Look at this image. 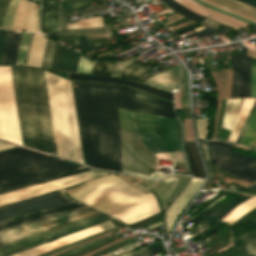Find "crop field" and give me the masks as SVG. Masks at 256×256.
<instances>
[{
	"instance_id": "8a807250",
	"label": "crop field",
	"mask_w": 256,
	"mask_h": 256,
	"mask_svg": "<svg viewBox=\"0 0 256 256\" xmlns=\"http://www.w3.org/2000/svg\"><path fill=\"white\" fill-rule=\"evenodd\" d=\"M86 162L96 168L121 172L119 113L120 99L173 110L171 103L134 91L128 87L88 85L73 82ZM122 172L150 179L166 173L150 175L123 169Z\"/></svg>"
},
{
	"instance_id": "ac0d7876",
	"label": "crop field",
	"mask_w": 256,
	"mask_h": 256,
	"mask_svg": "<svg viewBox=\"0 0 256 256\" xmlns=\"http://www.w3.org/2000/svg\"><path fill=\"white\" fill-rule=\"evenodd\" d=\"M11 69L24 145L57 155L43 71Z\"/></svg>"
},
{
	"instance_id": "34b2d1b8",
	"label": "crop field",
	"mask_w": 256,
	"mask_h": 256,
	"mask_svg": "<svg viewBox=\"0 0 256 256\" xmlns=\"http://www.w3.org/2000/svg\"><path fill=\"white\" fill-rule=\"evenodd\" d=\"M44 74L58 155L83 164L70 81Z\"/></svg>"
},
{
	"instance_id": "412701ff",
	"label": "crop field",
	"mask_w": 256,
	"mask_h": 256,
	"mask_svg": "<svg viewBox=\"0 0 256 256\" xmlns=\"http://www.w3.org/2000/svg\"><path fill=\"white\" fill-rule=\"evenodd\" d=\"M81 168L21 147L0 152V190Z\"/></svg>"
},
{
	"instance_id": "f4fd0767",
	"label": "crop field",
	"mask_w": 256,
	"mask_h": 256,
	"mask_svg": "<svg viewBox=\"0 0 256 256\" xmlns=\"http://www.w3.org/2000/svg\"><path fill=\"white\" fill-rule=\"evenodd\" d=\"M66 192L71 197L102 212L152 193L145 194L113 174L71 188Z\"/></svg>"
},
{
	"instance_id": "dd49c442",
	"label": "crop field",
	"mask_w": 256,
	"mask_h": 256,
	"mask_svg": "<svg viewBox=\"0 0 256 256\" xmlns=\"http://www.w3.org/2000/svg\"><path fill=\"white\" fill-rule=\"evenodd\" d=\"M0 138L22 145L10 66H0Z\"/></svg>"
},
{
	"instance_id": "e52e79f7",
	"label": "crop field",
	"mask_w": 256,
	"mask_h": 256,
	"mask_svg": "<svg viewBox=\"0 0 256 256\" xmlns=\"http://www.w3.org/2000/svg\"><path fill=\"white\" fill-rule=\"evenodd\" d=\"M207 144L213 164L248 181H256V158L232 152L234 144L218 140Z\"/></svg>"
},
{
	"instance_id": "d8731c3e",
	"label": "crop field",
	"mask_w": 256,
	"mask_h": 256,
	"mask_svg": "<svg viewBox=\"0 0 256 256\" xmlns=\"http://www.w3.org/2000/svg\"><path fill=\"white\" fill-rule=\"evenodd\" d=\"M111 220L103 213L0 247V256H9L71 233Z\"/></svg>"
},
{
	"instance_id": "5a996713",
	"label": "crop field",
	"mask_w": 256,
	"mask_h": 256,
	"mask_svg": "<svg viewBox=\"0 0 256 256\" xmlns=\"http://www.w3.org/2000/svg\"><path fill=\"white\" fill-rule=\"evenodd\" d=\"M100 213L88 206L0 232V245Z\"/></svg>"
},
{
	"instance_id": "3316defc",
	"label": "crop field",
	"mask_w": 256,
	"mask_h": 256,
	"mask_svg": "<svg viewBox=\"0 0 256 256\" xmlns=\"http://www.w3.org/2000/svg\"><path fill=\"white\" fill-rule=\"evenodd\" d=\"M106 173H100L96 171H85L82 173L74 174L64 178L56 179L46 183L38 184L28 188L20 189L10 193L0 195V206L8 203L16 202L26 198L34 197L44 193L52 192L58 189H62L68 186H72L86 180L101 176Z\"/></svg>"
},
{
	"instance_id": "28ad6ade",
	"label": "crop field",
	"mask_w": 256,
	"mask_h": 256,
	"mask_svg": "<svg viewBox=\"0 0 256 256\" xmlns=\"http://www.w3.org/2000/svg\"><path fill=\"white\" fill-rule=\"evenodd\" d=\"M72 202L75 201H68L59 192H56L53 194L0 208V222L44 211Z\"/></svg>"
},
{
	"instance_id": "d1516ede",
	"label": "crop field",
	"mask_w": 256,
	"mask_h": 256,
	"mask_svg": "<svg viewBox=\"0 0 256 256\" xmlns=\"http://www.w3.org/2000/svg\"><path fill=\"white\" fill-rule=\"evenodd\" d=\"M121 138V158L122 167L133 170V155H134V170L150 174L156 167V158L149 155L139 145L133 141L132 155V139L120 130Z\"/></svg>"
},
{
	"instance_id": "22f410ed",
	"label": "crop field",
	"mask_w": 256,
	"mask_h": 256,
	"mask_svg": "<svg viewBox=\"0 0 256 256\" xmlns=\"http://www.w3.org/2000/svg\"><path fill=\"white\" fill-rule=\"evenodd\" d=\"M160 211L155 194H151L105 213L126 223H133Z\"/></svg>"
},
{
	"instance_id": "cbeb9de0",
	"label": "crop field",
	"mask_w": 256,
	"mask_h": 256,
	"mask_svg": "<svg viewBox=\"0 0 256 256\" xmlns=\"http://www.w3.org/2000/svg\"><path fill=\"white\" fill-rule=\"evenodd\" d=\"M232 97H250V57L232 56Z\"/></svg>"
},
{
	"instance_id": "5142ce71",
	"label": "crop field",
	"mask_w": 256,
	"mask_h": 256,
	"mask_svg": "<svg viewBox=\"0 0 256 256\" xmlns=\"http://www.w3.org/2000/svg\"><path fill=\"white\" fill-rule=\"evenodd\" d=\"M22 28L27 31H37L38 29V12H35V3L27 0H20L15 21L14 30L21 31Z\"/></svg>"
},
{
	"instance_id": "d9b57169",
	"label": "crop field",
	"mask_w": 256,
	"mask_h": 256,
	"mask_svg": "<svg viewBox=\"0 0 256 256\" xmlns=\"http://www.w3.org/2000/svg\"><path fill=\"white\" fill-rule=\"evenodd\" d=\"M69 79L90 81V82H96V83H111V84L127 85L145 92H149V93L173 100V95L165 91H161V90L146 86L144 84L134 83L126 80L109 78V77H100V76H88V75H81V74H74V73H69Z\"/></svg>"
},
{
	"instance_id": "733c2abd",
	"label": "crop field",
	"mask_w": 256,
	"mask_h": 256,
	"mask_svg": "<svg viewBox=\"0 0 256 256\" xmlns=\"http://www.w3.org/2000/svg\"><path fill=\"white\" fill-rule=\"evenodd\" d=\"M100 231H103V229L99 225H97V226L91 227L89 229L74 233L72 235L57 239L55 241L40 245L38 247L23 251L21 253H18V254L12 255V256H35L37 254L54 249L56 247L62 246L64 244L73 242L75 240L84 238L86 236L92 235V234L100 232Z\"/></svg>"
},
{
	"instance_id": "4a817a6b",
	"label": "crop field",
	"mask_w": 256,
	"mask_h": 256,
	"mask_svg": "<svg viewBox=\"0 0 256 256\" xmlns=\"http://www.w3.org/2000/svg\"><path fill=\"white\" fill-rule=\"evenodd\" d=\"M202 182L203 180L192 178V180L187 185L185 190L168 208L166 212V226H167L168 232L172 228L174 221L177 215L179 214V212L182 210V208L185 206L188 200L194 195V193L197 191V189L202 184Z\"/></svg>"
},
{
	"instance_id": "bc2a9ffb",
	"label": "crop field",
	"mask_w": 256,
	"mask_h": 256,
	"mask_svg": "<svg viewBox=\"0 0 256 256\" xmlns=\"http://www.w3.org/2000/svg\"><path fill=\"white\" fill-rule=\"evenodd\" d=\"M144 84L155 88H162L169 91L180 85V71L178 64L161 72L155 74L144 81Z\"/></svg>"
},
{
	"instance_id": "214f88e0",
	"label": "crop field",
	"mask_w": 256,
	"mask_h": 256,
	"mask_svg": "<svg viewBox=\"0 0 256 256\" xmlns=\"http://www.w3.org/2000/svg\"><path fill=\"white\" fill-rule=\"evenodd\" d=\"M59 0H42L41 31L57 33Z\"/></svg>"
},
{
	"instance_id": "92a150f3",
	"label": "crop field",
	"mask_w": 256,
	"mask_h": 256,
	"mask_svg": "<svg viewBox=\"0 0 256 256\" xmlns=\"http://www.w3.org/2000/svg\"><path fill=\"white\" fill-rule=\"evenodd\" d=\"M81 206H85V205L80 204V203H76V204L68 205V206H65V207L57 208V209H54V210L41 212V213H38V214H35V215H30V216L22 217V218L15 219V220H12V221L4 222V223L0 224V230H4V229H7V228L14 227V226H17V225H21V224L31 222V221H34V220H37V219H41V218L48 217V216H51V215H54V214L65 212V211L75 209V208H78V207H81Z\"/></svg>"
},
{
	"instance_id": "dafd665d",
	"label": "crop field",
	"mask_w": 256,
	"mask_h": 256,
	"mask_svg": "<svg viewBox=\"0 0 256 256\" xmlns=\"http://www.w3.org/2000/svg\"><path fill=\"white\" fill-rule=\"evenodd\" d=\"M176 1L179 2L180 4H182L183 6L187 7L188 9H190L196 13H199L201 15H204L206 17L212 15L217 18H220V19L226 20L228 22L234 23L236 25H239V26L245 27L247 25V23H245V22L239 21V20L229 17L227 15H224V14H221L214 10L208 9L193 0H176Z\"/></svg>"
},
{
	"instance_id": "00972430",
	"label": "crop field",
	"mask_w": 256,
	"mask_h": 256,
	"mask_svg": "<svg viewBox=\"0 0 256 256\" xmlns=\"http://www.w3.org/2000/svg\"><path fill=\"white\" fill-rule=\"evenodd\" d=\"M79 58L80 55H78L74 51L66 47L60 46L54 69L70 70L76 72Z\"/></svg>"
},
{
	"instance_id": "a9b5d70f",
	"label": "crop field",
	"mask_w": 256,
	"mask_h": 256,
	"mask_svg": "<svg viewBox=\"0 0 256 256\" xmlns=\"http://www.w3.org/2000/svg\"><path fill=\"white\" fill-rule=\"evenodd\" d=\"M47 39L42 34L34 33L26 65L40 67Z\"/></svg>"
},
{
	"instance_id": "4177f3b9",
	"label": "crop field",
	"mask_w": 256,
	"mask_h": 256,
	"mask_svg": "<svg viewBox=\"0 0 256 256\" xmlns=\"http://www.w3.org/2000/svg\"><path fill=\"white\" fill-rule=\"evenodd\" d=\"M22 35L9 32L1 64L16 63Z\"/></svg>"
},
{
	"instance_id": "730fd06b",
	"label": "crop field",
	"mask_w": 256,
	"mask_h": 256,
	"mask_svg": "<svg viewBox=\"0 0 256 256\" xmlns=\"http://www.w3.org/2000/svg\"><path fill=\"white\" fill-rule=\"evenodd\" d=\"M247 199H249V197H245L241 195L237 196L236 198H234L233 200H231L230 202L222 206L219 210H217L214 214H212L210 217L205 219L200 224H202L207 229L211 228L216 222H218L223 216H225L228 212H230L235 206H237L238 204L242 203ZM217 216L218 218L213 220Z\"/></svg>"
},
{
	"instance_id": "eef30255",
	"label": "crop field",
	"mask_w": 256,
	"mask_h": 256,
	"mask_svg": "<svg viewBox=\"0 0 256 256\" xmlns=\"http://www.w3.org/2000/svg\"><path fill=\"white\" fill-rule=\"evenodd\" d=\"M185 150L188 154L192 176L205 178L195 142H185Z\"/></svg>"
},
{
	"instance_id": "ae1a2a85",
	"label": "crop field",
	"mask_w": 256,
	"mask_h": 256,
	"mask_svg": "<svg viewBox=\"0 0 256 256\" xmlns=\"http://www.w3.org/2000/svg\"><path fill=\"white\" fill-rule=\"evenodd\" d=\"M256 229V211L231 227L233 240L236 241Z\"/></svg>"
},
{
	"instance_id": "d3111659",
	"label": "crop field",
	"mask_w": 256,
	"mask_h": 256,
	"mask_svg": "<svg viewBox=\"0 0 256 256\" xmlns=\"http://www.w3.org/2000/svg\"><path fill=\"white\" fill-rule=\"evenodd\" d=\"M256 98H247L243 100V103L241 105L240 111L238 113L237 119L235 121L234 127L232 129V133L228 140L234 141L254 103Z\"/></svg>"
},
{
	"instance_id": "750c4746",
	"label": "crop field",
	"mask_w": 256,
	"mask_h": 256,
	"mask_svg": "<svg viewBox=\"0 0 256 256\" xmlns=\"http://www.w3.org/2000/svg\"><path fill=\"white\" fill-rule=\"evenodd\" d=\"M239 143L256 148V107Z\"/></svg>"
},
{
	"instance_id": "bd1437ed",
	"label": "crop field",
	"mask_w": 256,
	"mask_h": 256,
	"mask_svg": "<svg viewBox=\"0 0 256 256\" xmlns=\"http://www.w3.org/2000/svg\"><path fill=\"white\" fill-rule=\"evenodd\" d=\"M141 62L136 59L133 60L128 65L123 67L119 76L138 81L140 75L149 70L146 66L143 65L144 63Z\"/></svg>"
},
{
	"instance_id": "1d83c4d3",
	"label": "crop field",
	"mask_w": 256,
	"mask_h": 256,
	"mask_svg": "<svg viewBox=\"0 0 256 256\" xmlns=\"http://www.w3.org/2000/svg\"><path fill=\"white\" fill-rule=\"evenodd\" d=\"M256 207V196L235 207L227 216L222 218L227 223H232L250 209Z\"/></svg>"
},
{
	"instance_id": "120bbe31",
	"label": "crop field",
	"mask_w": 256,
	"mask_h": 256,
	"mask_svg": "<svg viewBox=\"0 0 256 256\" xmlns=\"http://www.w3.org/2000/svg\"><path fill=\"white\" fill-rule=\"evenodd\" d=\"M231 100V107L228 111L229 108V102ZM241 102V98H237V99H227L226 101V106H225V115H224V119H223V128L226 129H232L233 123H234V119H235V115L237 113V110L239 108ZM228 111V113H227Z\"/></svg>"
},
{
	"instance_id": "d32e631a",
	"label": "crop field",
	"mask_w": 256,
	"mask_h": 256,
	"mask_svg": "<svg viewBox=\"0 0 256 256\" xmlns=\"http://www.w3.org/2000/svg\"><path fill=\"white\" fill-rule=\"evenodd\" d=\"M210 1L218 3L225 7L231 8L233 10H236L238 12H241V13H244L246 15L256 18V9L255 8L245 5L236 0H210Z\"/></svg>"
},
{
	"instance_id": "5866460e",
	"label": "crop field",
	"mask_w": 256,
	"mask_h": 256,
	"mask_svg": "<svg viewBox=\"0 0 256 256\" xmlns=\"http://www.w3.org/2000/svg\"><path fill=\"white\" fill-rule=\"evenodd\" d=\"M103 9H107V6L106 5H101V6H97V7H94L92 9H89L87 11H83V12H79V13L74 11V12L66 14L64 12V10L62 9L61 5L59 4L58 33H64L65 17L71 16V15H76V14H80V15L88 14V13L100 11V10H103Z\"/></svg>"
},
{
	"instance_id": "028f5c9d",
	"label": "crop field",
	"mask_w": 256,
	"mask_h": 256,
	"mask_svg": "<svg viewBox=\"0 0 256 256\" xmlns=\"http://www.w3.org/2000/svg\"><path fill=\"white\" fill-rule=\"evenodd\" d=\"M164 3H166L169 7H171L172 9H174L175 11L187 16L188 18L197 21V22H201L203 21L206 17L197 15L193 12H191L190 10L186 9L185 7L181 6L179 3H177L174 0H162Z\"/></svg>"
},
{
	"instance_id": "e1f06a70",
	"label": "crop field",
	"mask_w": 256,
	"mask_h": 256,
	"mask_svg": "<svg viewBox=\"0 0 256 256\" xmlns=\"http://www.w3.org/2000/svg\"><path fill=\"white\" fill-rule=\"evenodd\" d=\"M103 25V19L101 16L83 19L75 24H67V28L69 29H79V28H93V27H102Z\"/></svg>"
},
{
	"instance_id": "0bd39190",
	"label": "crop field",
	"mask_w": 256,
	"mask_h": 256,
	"mask_svg": "<svg viewBox=\"0 0 256 256\" xmlns=\"http://www.w3.org/2000/svg\"><path fill=\"white\" fill-rule=\"evenodd\" d=\"M18 2H19V0H11L1 27L9 28V29L12 28V24H13L16 9H17V6H18Z\"/></svg>"
},
{
	"instance_id": "b80d0937",
	"label": "crop field",
	"mask_w": 256,
	"mask_h": 256,
	"mask_svg": "<svg viewBox=\"0 0 256 256\" xmlns=\"http://www.w3.org/2000/svg\"><path fill=\"white\" fill-rule=\"evenodd\" d=\"M67 34H87L88 38L106 36V27L94 29L69 30Z\"/></svg>"
},
{
	"instance_id": "c035e120",
	"label": "crop field",
	"mask_w": 256,
	"mask_h": 256,
	"mask_svg": "<svg viewBox=\"0 0 256 256\" xmlns=\"http://www.w3.org/2000/svg\"><path fill=\"white\" fill-rule=\"evenodd\" d=\"M85 170H89V169L82 168V169H78V170L71 171V172H68V173H64V174H61V175H57V176H53V177L46 178V179H43V180H39V181H36V182H32V183H29V184H25V185H21V186H18V187L11 188V189L3 190V191H0V194L10 192V191H13V190H17V189H20V188L28 187V186H31V185H35V184H38V183L46 182V181L53 180V179H56V178L64 177V176L71 175V174H74V173L82 172V171H85Z\"/></svg>"
},
{
	"instance_id": "c21b1889",
	"label": "crop field",
	"mask_w": 256,
	"mask_h": 256,
	"mask_svg": "<svg viewBox=\"0 0 256 256\" xmlns=\"http://www.w3.org/2000/svg\"><path fill=\"white\" fill-rule=\"evenodd\" d=\"M115 62L98 63L94 62L91 73L94 74H111Z\"/></svg>"
},
{
	"instance_id": "03da06ac",
	"label": "crop field",
	"mask_w": 256,
	"mask_h": 256,
	"mask_svg": "<svg viewBox=\"0 0 256 256\" xmlns=\"http://www.w3.org/2000/svg\"><path fill=\"white\" fill-rule=\"evenodd\" d=\"M30 36H31V33H24L16 64H20V65L24 64V60H25L28 45H29Z\"/></svg>"
},
{
	"instance_id": "b54c1fbb",
	"label": "crop field",
	"mask_w": 256,
	"mask_h": 256,
	"mask_svg": "<svg viewBox=\"0 0 256 256\" xmlns=\"http://www.w3.org/2000/svg\"><path fill=\"white\" fill-rule=\"evenodd\" d=\"M76 37H77L80 49L84 52H89V51L96 50V49H99V48H102L105 46V42L99 46H95V45L90 46L86 35H76ZM98 44H100V43H97L96 45H98Z\"/></svg>"
},
{
	"instance_id": "5d738f31",
	"label": "crop field",
	"mask_w": 256,
	"mask_h": 256,
	"mask_svg": "<svg viewBox=\"0 0 256 256\" xmlns=\"http://www.w3.org/2000/svg\"><path fill=\"white\" fill-rule=\"evenodd\" d=\"M94 0H62L60 1V4L62 5L65 12L76 9L80 6H83L89 2H92Z\"/></svg>"
},
{
	"instance_id": "d23c7cc5",
	"label": "crop field",
	"mask_w": 256,
	"mask_h": 256,
	"mask_svg": "<svg viewBox=\"0 0 256 256\" xmlns=\"http://www.w3.org/2000/svg\"><path fill=\"white\" fill-rule=\"evenodd\" d=\"M107 240H109V238L107 236H105L103 238H100V239L95 240L93 242H90V243H87L85 245L79 246V247H77V248H75V249H73V250H71L69 252H66V253L58 255V256H72V255H74V254H76L78 252H81V251H83L85 249H88V248H90V247H92L94 245H97V244L102 243V242L107 241Z\"/></svg>"
},
{
	"instance_id": "425ffa30",
	"label": "crop field",
	"mask_w": 256,
	"mask_h": 256,
	"mask_svg": "<svg viewBox=\"0 0 256 256\" xmlns=\"http://www.w3.org/2000/svg\"><path fill=\"white\" fill-rule=\"evenodd\" d=\"M121 227H122L121 225L116 226V227H114V228H111V229H108V230L103 231V232H101V233H98V234L92 235V236H90V237H87V238L81 239V240H79V241H76V242L70 243V244L65 245V246H62V247H60V248H57V249L51 250V251H49V252H46V253L40 254V255H38V256H47V255H50V254H52V253H54V252H57V251H59V250H61V249L66 248V247H68V246H71V245H74V244L80 243V242H82V241H85V240H88V239H91V238H94V237L100 236V235H102V234H105V233H108V232H111V231H114V230L119 229V228H121Z\"/></svg>"
},
{
	"instance_id": "25e5ab78",
	"label": "crop field",
	"mask_w": 256,
	"mask_h": 256,
	"mask_svg": "<svg viewBox=\"0 0 256 256\" xmlns=\"http://www.w3.org/2000/svg\"><path fill=\"white\" fill-rule=\"evenodd\" d=\"M51 42H52V40L48 39L47 45H46V49H45V53H44V57H43V61H42V65H41L42 68H45V66H46V62H47V58H48ZM55 45H56V43L53 42L46 68L50 67V63H51V60H52V56H53V52H54V49H55Z\"/></svg>"
},
{
	"instance_id": "73cf0c24",
	"label": "crop field",
	"mask_w": 256,
	"mask_h": 256,
	"mask_svg": "<svg viewBox=\"0 0 256 256\" xmlns=\"http://www.w3.org/2000/svg\"><path fill=\"white\" fill-rule=\"evenodd\" d=\"M197 135L199 139H206L207 135V118L196 119Z\"/></svg>"
},
{
	"instance_id": "89e229c0",
	"label": "crop field",
	"mask_w": 256,
	"mask_h": 256,
	"mask_svg": "<svg viewBox=\"0 0 256 256\" xmlns=\"http://www.w3.org/2000/svg\"><path fill=\"white\" fill-rule=\"evenodd\" d=\"M251 97H256V58L251 57Z\"/></svg>"
},
{
	"instance_id": "1f2cbd36",
	"label": "crop field",
	"mask_w": 256,
	"mask_h": 256,
	"mask_svg": "<svg viewBox=\"0 0 256 256\" xmlns=\"http://www.w3.org/2000/svg\"><path fill=\"white\" fill-rule=\"evenodd\" d=\"M92 63L88 59L81 56L77 72L90 73Z\"/></svg>"
},
{
	"instance_id": "dbb93151",
	"label": "crop field",
	"mask_w": 256,
	"mask_h": 256,
	"mask_svg": "<svg viewBox=\"0 0 256 256\" xmlns=\"http://www.w3.org/2000/svg\"><path fill=\"white\" fill-rule=\"evenodd\" d=\"M183 86H184V107H189L188 101V76L183 67Z\"/></svg>"
},
{
	"instance_id": "0fb4a251",
	"label": "crop field",
	"mask_w": 256,
	"mask_h": 256,
	"mask_svg": "<svg viewBox=\"0 0 256 256\" xmlns=\"http://www.w3.org/2000/svg\"><path fill=\"white\" fill-rule=\"evenodd\" d=\"M240 249L244 251L248 256H256V240L252 241L251 243L245 245Z\"/></svg>"
},
{
	"instance_id": "1d79db26",
	"label": "crop field",
	"mask_w": 256,
	"mask_h": 256,
	"mask_svg": "<svg viewBox=\"0 0 256 256\" xmlns=\"http://www.w3.org/2000/svg\"><path fill=\"white\" fill-rule=\"evenodd\" d=\"M199 145H200V147L203 151V154H204V157H205V160H206V163H207V168H208V172H209V179L212 180L211 167H210V161H209V157H208V150H207L206 142L199 143Z\"/></svg>"
},
{
	"instance_id": "9d1cf04e",
	"label": "crop field",
	"mask_w": 256,
	"mask_h": 256,
	"mask_svg": "<svg viewBox=\"0 0 256 256\" xmlns=\"http://www.w3.org/2000/svg\"><path fill=\"white\" fill-rule=\"evenodd\" d=\"M254 239H256V231H254L253 233L249 234L248 236L244 237L243 239L239 240L234 244L240 248Z\"/></svg>"
},
{
	"instance_id": "447ae74e",
	"label": "crop field",
	"mask_w": 256,
	"mask_h": 256,
	"mask_svg": "<svg viewBox=\"0 0 256 256\" xmlns=\"http://www.w3.org/2000/svg\"><path fill=\"white\" fill-rule=\"evenodd\" d=\"M201 1L207 3V4L211 5V6H214V7H216V8L222 9V10H224V11H227V12H230V13H233V14H236V15H238V16H241V17H244V18H247V19H250V20L256 22L255 19H252V18L247 17V16H245V15H242V14H240V13H237V12H234V11H232V10H229V9L223 7V6L217 5V4L212 3V2H209V1H207V0H201Z\"/></svg>"
},
{
	"instance_id": "0765c3eb",
	"label": "crop field",
	"mask_w": 256,
	"mask_h": 256,
	"mask_svg": "<svg viewBox=\"0 0 256 256\" xmlns=\"http://www.w3.org/2000/svg\"><path fill=\"white\" fill-rule=\"evenodd\" d=\"M133 58H134V57L132 56V57H130L129 59H127L126 61L117 62L111 75L118 76L119 73H120V71H121V69H122V67H123L124 65H126V64H127L130 60H132Z\"/></svg>"
},
{
	"instance_id": "db79e9e6",
	"label": "crop field",
	"mask_w": 256,
	"mask_h": 256,
	"mask_svg": "<svg viewBox=\"0 0 256 256\" xmlns=\"http://www.w3.org/2000/svg\"><path fill=\"white\" fill-rule=\"evenodd\" d=\"M10 0H0V26L6 13Z\"/></svg>"
},
{
	"instance_id": "7b73153f",
	"label": "crop field",
	"mask_w": 256,
	"mask_h": 256,
	"mask_svg": "<svg viewBox=\"0 0 256 256\" xmlns=\"http://www.w3.org/2000/svg\"><path fill=\"white\" fill-rule=\"evenodd\" d=\"M214 32H217V31L214 30V29H212V28H210V27H207V28L202 29V30H200V31H198V32H195V33H193V34L186 35V36H183V37L187 38V37L194 36V35H196L197 37H199V36L211 34V33H214Z\"/></svg>"
},
{
	"instance_id": "78b8030e",
	"label": "crop field",
	"mask_w": 256,
	"mask_h": 256,
	"mask_svg": "<svg viewBox=\"0 0 256 256\" xmlns=\"http://www.w3.org/2000/svg\"><path fill=\"white\" fill-rule=\"evenodd\" d=\"M162 245H163L162 241L156 242V243H153L151 245H148V246H145V247L141 248V250H139V251H131V252H129V253L123 255V256H130V255L136 254L138 252L146 251V250L152 249L154 247L162 246Z\"/></svg>"
},
{
	"instance_id": "0f1d7ab4",
	"label": "crop field",
	"mask_w": 256,
	"mask_h": 256,
	"mask_svg": "<svg viewBox=\"0 0 256 256\" xmlns=\"http://www.w3.org/2000/svg\"><path fill=\"white\" fill-rule=\"evenodd\" d=\"M7 33L8 31L0 30V62H1L2 54L4 50Z\"/></svg>"
},
{
	"instance_id": "e1d0b9f6",
	"label": "crop field",
	"mask_w": 256,
	"mask_h": 256,
	"mask_svg": "<svg viewBox=\"0 0 256 256\" xmlns=\"http://www.w3.org/2000/svg\"><path fill=\"white\" fill-rule=\"evenodd\" d=\"M195 1H197V2H199V3H201V4H203V5H205V6H207V7H210V8H212V9H215V10H217V11H220V12H222V13H225V14H227V15H230V16H232V17H235V18H237V19H240V20H242V21H245V22H247V23H251V24H253V25H256L255 22H252V21H249V20H247V19L238 17V16H236V15H233V14H230V13H227V12H224V11H222V10L213 8L214 6L211 7V6H209V5H207V4L203 3V2H201L200 0H195Z\"/></svg>"
},
{
	"instance_id": "ae633e8c",
	"label": "crop field",
	"mask_w": 256,
	"mask_h": 256,
	"mask_svg": "<svg viewBox=\"0 0 256 256\" xmlns=\"http://www.w3.org/2000/svg\"><path fill=\"white\" fill-rule=\"evenodd\" d=\"M128 136H130L135 142H137L143 149H145L148 153H153L149 150L143 143H141L135 136H133L130 132L124 131Z\"/></svg>"
},
{
	"instance_id": "d14b1444",
	"label": "crop field",
	"mask_w": 256,
	"mask_h": 256,
	"mask_svg": "<svg viewBox=\"0 0 256 256\" xmlns=\"http://www.w3.org/2000/svg\"><path fill=\"white\" fill-rule=\"evenodd\" d=\"M213 169H214V171H216V172H219V173H222V174H224V175L230 176V177L235 178V179H237V180H240V179H241V178H239V177H237V176H235V175H233V174H231V173H228V172H226V171H224V170H221V169H219V168H217V167H215V166H213Z\"/></svg>"
},
{
	"instance_id": "c39391a2",
	"label": "crop field",
	"mask_w": 256,
	"mask_h": 256,
	"mask_svg": "<svg viewBox=\"0 0 256 256\" xmlns=\"http://www.w3.org/2000/svg\"><path fill=\"white\" fill-rule=\"evenodd\" d=\"M162 247H163V246H162ZM160 251H161V247L155 248V249H152V250H149V251L140 253V254H136V255H134V256H143V255L152 254V253H156V252H160Z\"/></svg>"
},
{
	"instance_id": "ade564c9",
	"label": "crop field",
	"mask_w": 256,
	"mask_h": 256,
	"mask_svg": "<svg viewBox=\"0 0 256 256\" xmlns=\"http://www.w3.org/2000/svg\"><path fill=\"white\" fill-rule=\"evenodd\" d=\"M255 105H256V101H255V103H254V105H253V107H252V109H251V111H250V114H249V116H248V118H247V120H246V122H245V124H244V126H243V129H242V131H241V133H240V135H239V137H238V139H237V141H236L237 143H238L239 140H240V137H241V135H242V132H243V130H244L246 124H247V121H248V119H249V117H250V115H251V113H252V111H253Z\"/></svg>"
},
{
	"instance_id": "c5b07064",
	"label": "crop field",
	"mask_w": 256,
	"mask_h": 256,
	"mask_svg": "<svg viewBox=\"0 0 256 256\" xmlns=\"http://www.w3.org/2000/svg\"><path fill=\"white\" fill-rule=\"evenodd\" d=\"M12 146H15V145H10V144L0 142V150L5 149V148H9V147H12Z\"/></svg>"
},
{
	"instance_id": "c3a83c6f",
	"label": "crop field",
	"mask_w": 256,
	"mask_h": 256,
	"mask_svg": "<svg viewBox=\"0 0 256 256\" xmlns=\"http://www.w3.org/2000/svg\"><path fill=\"white\" fill-rule=\"evenodd\" d=\"M256 7V0H240Z\"/></svg>"
},
{
	"instance_id": "fb207236",
	"label": "crop field",
	"mask_w": 256,
	"mask_h": 256,
	"mask_svg": "<svg viewBox=\"0 0 256 256\" xmlns=\"http://www.w3.org/2000/svg\"><path fill=\"white\" fill-rule=\"evenodd\" d=\"M200 26H202V25L198 24V25H196V26H193V27H191V28H189V29H186V30H184V31H180V32H178V33L181 34V33H184V32H186V31L192 30V29L197 28V27H200Z\"/></svg>"
},
{
	"instance_id": "7312dd0a",
	"label": "crop field",
	"mask_w": 256,
	"mask_h": 256,
	"mask_svg": "<svg viewBox=\"0 0 256 256\" xmlns=\"http://www.w3.org/2000/svg\"><path fill=\"white\" fill-rule=\"evenodd\" d=\"M256 187V182L254 184H252L251 186L247 187L246 189L250 190L252 188Z\"/></svg>"
},
{
	"instance_id": "180be81f",
	"label": "crop field",
	"mask_w": 256,
	"mask_h": 256,
	"mask_svg": "<svg viewBox=\"0 0 256 256\" xmlns=\"http://www.w3.org/2000/svg\"><path fill=\"white\" fill-rule=\"evenodd\" d=\"M177 166H181V167H185L187 168L186 164H182V163H176Z\"/></svg>"
},
{
	"instance_id": "f0312440",
	"label": "crop field",
	"mask_w": 256,
	"mask_h": 256,
	"mask_svg": "<svg viewBox=\"0 0 256 256\" xmlns=\"http://www.w3.org/2000/svg\"><path fill=\"white\" fill-rule=\"evenodd\" d=\"M243 54H246V48H243Z\"/></svg>"
},
{
	"instance_id": "1f1604b0",
	"label": "crop field",
	"mask_w": 256,
	"mask_h": 256,
	"mask_svg": "<svg viewBox=\"0 0 256 256\" xmlns=\"http://www.w3.org/2000/svg\"><path fill=\"white\" fill-rule=\"evenodd\" d=\"M34 1H36V0H34Z\"/></svg>"
},
{
	"instance_id": "819c52e7",
	"label": "crop field",
	"mask_w": 256,
	"mask_h": 256,
	"mask_svg": "<svg viewBox=\"0 0 256 256\" xmlns=\"http://www.w3.org/2000/svg\"><path fill=\"white\" fill-rule=\"evenodd\" d=\"M156 1V0H155Z\"/></svg>"
}]
</instances>
